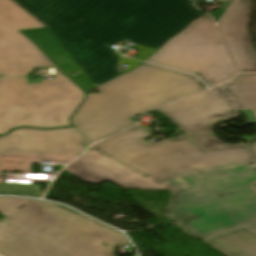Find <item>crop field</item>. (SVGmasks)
<instances>
[{
	"label": "crop field",
	"mask_w": 256,
	"mask_h": 256,
	"mask_svg": "<svg viewBox=\"0 0 256 256\" xmlns=\"http://www.w3.org/2000/svg\"><path fill=\"white\" fill-rule=\"evenodd\" d=\"M68 76L84 90H87L94 86V84L84 72L76 76H71L70 74H68Z\"/></svg>",
	"instance_id": "dafd665d"
},
{
	"label": "crop field",
	"mask_w": 256,
	"mask_h": 256,
	"mask_svg": "<svg viewBox=\"0 0 256 256\" xmlns=\"http://www.w3.org/2000/svg\"><path fill=\"white\" fill-rule=\"evenodd\" d=\"M156 107L135 91L87 94L72 123L90 143L134 123L129 118ZM116 133V132H115Z\"/></svg>",
	"instance_id": "e52e79f7"
},
{
	"label": "crop field",
	"mask_w": 256,
	"mask_h": 256,
	"mask_svg": "<svg viewBox=\"0 0 256 256\" xmlns=\"http://www.w3.org/2000/svg\"><path fill=\"white\" fill-rule=\"evenodd\" d=\"M150 136L135 125L91 149L146 177L256 160L250 148L207 153L186 133L153 145L143 141Z\"/></svg>",
	"instance_id": "412701ff"
},
{
	"label": "crop field",
	"mask_w": 256,
	"mask_h": 256,
	"mask_svg": "<svg viewBox=\"0 0 256 256\" xmlns=\"http://www.w3.org/2000/svg\"><path fill=\"white\" fill-rule=\"evenodd\" d=\"M0 253L6 256H113L120 233L51 203L0 198ZM109 244L104 246L100 243Z\"/></svg>",
	"instance_id": "ac0d7876"
},
{
	"label": "crop field",
	"mask_w": 256,
	"mask_h": 256,
	"mask_svg": "<svg viewBox=\"0 0 256 256\" xmlns=\"http://www.w3.org/2000/svg\"><path fill=\"white\" fill-rule=\"evenodd\" d=\"M219 1H225V2H229V0H219Z\"/></svg>",
	"instance_id": "d3111659"
},
{
	"label": "crop field",
	"mask_w": 256,
	"mask_h": 256,
	"mask_svg": "<svg viewBox=\"0 0 256 256\" xmlns=\"http://www.w3.org/2000/svg\"><path fill=\"white\" fill-rule=\"evenodd\" d=\"M146 62L196 74L210 87L236 76L209 15L193 22Z\"/></svg>",
	"instance_id": "dd49c442"
},
{
	"label": "crop field",
	"mask_w": 256,
	"mask_h": 256,
	"mask_svg": "<svg viewBox=\"0 0 256 256\" xmlns=\"http://www.w3.org/2000/svg\"><path fill=\"white\" fill-rule=\"evenodd\" d=\"M65 170L95 184L108 180L120 187L167 190L91 149Z\"/></svg>",
	"instance_id": "d1516ede"
},
{
	"label": "crop field",
	"mask_w": 256,
	"mask_h": 256,
	"mask_svg": "<svg viewBox=\"0 0 256 256\" xmlns=\"http://www.w3.org/2000/svg\"><path fill=\"white\" fill-rule=\"evenodd\" d=\"M245 229L249 230L250 232L256 234V224L244 227Z\"/></svg>",
	"instance_id": "4177f3b9"
},
{
	"label": "crop field",
	"mask_w": 256,
	"mask_h": 256,
	"mask_svg": "<svg viewBox=\"0 0 256 256\" xmlns=\"http://www.w3.org/2000/svg\"><path fill=\"white\" fill-rule=\"evenodd\" d=\"M255 119H256V117H255Z\"/></svg>",
	"instance_id": "bd1437ed"
},
{
	"label": "crop field",
	"mask_w": 256,
	"mask_h": 256,
	"mask_svg": "<svg viewBox=\"0 0 256 256\" xmlns=\"http://www.w3.org/2000/svg\"><path fill=\"white\" fill-rule=\"evenodd\" d=\"M254 115L256 116V109H252Z\"/></svg>",
	"instance_id": "ae1a2a85"
},
{
	"label": "crop field",
	"mask_w": 256,
	"mask_h": 256,
	"mask_svg": "<svg viewBox=\"0 0 256 256\" xmlns=\"http://www.w3.org/2000/svg\"><path fill=\"white\" fill-rule=\"evenodd\" d=\"M45 27L11 0H0V76H22L34 67L62 73L21 29Z\"/></svg>",
	"instance_id": "d8731c3e"
},
{
	"label": "crop field",
	"mask_w": 256,
	"mask_h": 256,
	"mask_svg": "<svg viewBox=\"0 0 256 256\" xmlns=\"http://www.w3.org/2000/svg\"><path fill=\"white\" fill-rule=\"evenodd\" d=\"M223 86L240 109L256 108V73L243 74L237 81Z\"/></svg>",
	"instance_id": "733c2abd"
},
{
	"label": "crop field",
	"mask_w": 256,
	"mask_h": 256,
	"mask_svg": "<svg viewBox=\"0 0 256 256\" xmlns=\"http://www.w3.org/2000/svg\"><path fill=\"white\" fill-rule=\"evenodd\" d=\"M157 110L190 136H213L215 125L238 114L221 86Z\"/></svg>",
	"instance_id": "3316defc"
},
{
	"label": "crop field",
	"mask_w": 256,
	"mask_h": 256,
	"mask_svg": "<svg viewBox=\"0 0 256 256\" xmlns=\"http://www.w3.org/2000/svg\"><path fill=\"white\" fill-rule=\"evenodd\" d=\"M252 147H253V149H254V151H255V153H256V141H255V143L253 144ZM252 147H251V148H252Z\"/></svg>",
	"instance_id": "eef30255"
},
{
	"label": "crop field",
	"mask_w": 256,
	"mask_h": 256,
	"mask_svg": "<svg viewBox=\"0 0 256 256\" xmlns=\"http://www.w3.org/2000/svg\"><path fill=\"white\" fill-rule=\"evenodd\" d=\"M101 92L135 90L157 106L205 89L197 77L143 63L135 70L99 86Z\"/></svg>",
	"instance_id": "5a996713"
},
{
	"label": "crop field",
	"mask_w": 256,
	"mask_h": 256,
	"mask_svg": "<svg viewBox=\"0 0 256 256\" xmlns=\"http://www.w3.org/2000/svg\"><path fill=\"white\" fill-rule=\"evenodd\" d=\"M78 155H61V154H41L37 163H40L41 160L47 161H58V162H69L71 159Z\"/></svg>",
	"instance_id": "92a150f3"
},
{
	"label": "crop field",
	"mask_w": 256,
	"mask_h": 256,
	"mask_svg": "<svg viewBox=\"0 0 256 256\" xmlns=\"http://www.w3.org/2000/svg\"><path fill=\"white\" fill-rule=\"evenodd\" d=\"M40 154L0 153V172L30 173Z\"/></svg>",
	"instance_id": "4a817a6b"
},
{
	"label": "crop field",
	"mask_w": 256,
	"mask_h": 256,
	"mask_svg": "<svg viewBox=\"0 0 256 256\" xmlns=\"http://www.w3.org/2000/svg\"><path fill=\"white\" fill-rule=\"evenodd\" d=\"M83 135L75 128L17 129L0 137V152L81 154L86 148Z\"/></svg>",
	"instance_id": "28ad6ade"
},
{
	"label": "crop field",
	"mask_w": 256,
	"mask_h": 256,
	"mask_svg": "<svg viewBox=\"0 0 256 256\" xmlns=\"http://www.w3.org/2000/svg\"><path fill=\"white\" fill-rule=\"evenodd\" d=\"M182 177H184V176L181 173H176V174H172V175L161 176V177H153V178H149V179H151L154 182L159 184V183H162V182H166V181H170V180H174V179H178V178H182ZM189 182L192 183L191 181H189ZM192 184L195 185L194 183H192Z\"/></svg>",
	"instance_id": "00972430"
},
{
	"label": "crop field",
	"mask_w": 256,
	"mask_h": 256,
	"mask_svg": "<svg viewBox=\"0 0 256 256\" xmlns=\"http://www.w3.org/2000/svg\"><path fill=\"white\" fill-rule=\"evenodd\" d=\"M160 184L173 194L164 216L199 238L256 221V161L184 172Z\"/></svg>",
	"instance_id": "34b2d1b8"
},
{
	"label": "crop field",
	"mask_w": 256,
	"mask_h": 256,
	"mask_svg": "<svg viewBox=\"0 0 256 256\" xmlns=\"http://www.w3.org/2000/svg\"><path fill=\"white\" fill-rule=\"evenodd\" d=\"M0 256H3V255L0 254Z\"/></svg>",
	"instance_id": "750c4746"
},
{
	"label": "crop field",
	"mask_w": 256,
	"mask_h": 256,
	"mask_svg": "<svg viewBox=\"0 0 256 256\" xmlns=\"http://www.w3.org/2000/svg\"><path fill=\"white\" fill-rule=\"evenodd\" d=\"M192 138H194L198 143H200L207 150L248 146V144L228 145L214 137H192Z\"/></svg>",
	"instance_id": "214f88e0"
},
{
	"label": "crop field",
	"mask_w": 256,
	"mask_h": 256,
	"mask_svg": "<svg viewBox=\"0 0 256 256\" xmlns=\"http://www.w3.org/2000/svg\"><path fill=\"white\" fill-rule=\"evenodd\" d=\"M0 194L41 197L42 193L36 185L28 184H0Z\"/></svg>",
	"instance_id": "bc2a9ffb"
},
{
	"label": "crop field",
	"mask_w": 256,
	"mask_h": 256,
	"mask_svg": "<svg viewBox=\"0 0 256 256\" xmlns=\"http://www.w3.org/2000/svg\"><path fill=\"white\" fill-rule=\"evenodd\" d=\"M228 256H256V237L242 229L205 239Z\"/></svg>",
	"instance_id": "5142ce71"
},
{
	"label": "crop field",
	"mask_w": 256,
	"mask_h": 256,
	"mask_svg": "<svg viewBox=\"0 0 256 256\" xmlns=\"http://www.w3.org/2000/svg\"><path fill=\"white\" fill-rule=\"evenodd\" d=\"M202 15L191 0H109L75 26L49 29L97 85L118 76L110 45L128 39L159 49Z\"/></svg>",
	"instance_id": "8a807250"
},
{
	"label": "crop field",
	"mask_w": 256,
	"mask_h": 256,
	"mask_svg": "<svg viewBox=\"0 0 256 256\" xmlns=\"http://www.w3.org/2000/svg\"><path fill=\"white\" fill-rule=\"evenodd\" d=\"M224 9H225V8H224ZM224 9L219 10V11H216V12H214V13H211V14L214 16L216 22H218V20H219L220 16L222 15Z\"/></svg>",
	"instance_id": "a9b5d70f"
},
{
	"label": "crop field",
	"mask_w": 256,
	"mask_h": 256,
	"mask_svg": "<svg viewBox=\"0 0 256 256\" xmlns=\"http://www.w3.org/2000/svg\"><path fill=\"white\" fill-rule=\"evenodd\" d=\"M0 183H5L4 178H3V175H2V174H0Z\"/></svg>",
	"instance_id": "730fd06b"
},
{
	"label": "crop field",
	"mask_w": 256,
	"mask_h": 256,
	"mask_svg": "<svg viewBox=\"0 0 256 256\" xmlns=\"http://www.w3.org/2000/svg\"><path fill=\"white\" fill-rule=\"evenodd\" d=\"M16 1L47 25H75L107 0Z\"/></svg>",
	"instance_id": "cbeb9de0"
},
{
	"label": "crop field",
	"mask_w": 256,
	"mask_h": 256,
	"mask_svg": "<svg viewBox=\"0 0 256 256\" xmlns=\"http://www.w3.org/2000/svg\"><path fill=\"white\" fill-rule=\"evenodd\" d=\"M23 33L30 37L65 73L82 70L49 29Z\"/></svg>",
	"instance_id": "d9b57169"
},
{
	"label": "crop field",
	"mask_w": 256,
	"mask_h": 256,
	"mask_svg": "<svg viewBox=\"0 0 256 256\" xmlns=\"http://www.w3.org/2000/svg\"><path fill=\"white\" fill-rule=\"evenodd\" d=\"M41 81L0 79V135L20 126H71L69 119L82 102L83 91L68 77Z\"/></svg>",
	"instance_id": "f4fd0767"
},
{
	"label": "crop field",
	"mask_w": 256,
	"mask_h": 256,
	"mask_svg": "<svg viewBox=\"0 0 256 256\" xmlns=\"http://www.w3.org/2000/svg\"><path fill=\"white\" fill-rule=\"evenodd\" d=\"M251 8V0H235L220 26L240 73L256 72V49L247 28Z\"/></svg>",
	"instance_id": "22f410ed"
}]
</instances>
